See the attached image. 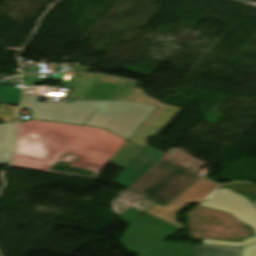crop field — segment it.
<instances>
[{
    "label": "crop field",
    "instance_id": "crop-field-22",
    "mask_svg": "<svg viewBox=\"0 0 256 256\" xmlns=\"http://www.w3.org/2000/svg\"><path fill=\"white\" fill-rule=\"evenodd\" d=\"M14 163L32 166V167H38V168H41L43 165H45L43 163H37V162H31V161H25V160H19V159H16Z\"/></svg>",
    "mask_w": 256,
    "mask_h": 256
},
{
    "label": "crop field",
    "instance_id": "crop-field-11",
    "mask_svg": "<svg viewBox=\"0 0 256 256\" xmlns=\"http://www.w3.org/2000/svg\"><path fill=\"white\" fill-rule=\"evenodd\" d=\"M15 123L0 124V164L10 163L13 157Z\"/></svg>",
    "mask_w": 256,
    "mask_h": 256
},
{
    "label": "crop field",
    "instance_id": "crop-field-25",
    "mask_svg": "<svg viewBox=\"0 0 256 256\" xmlns=\"http://www.w3.org/2000/svg\"><path fill=\"white\" fill-rule=\"evenodd\" d=\"M12 166H14V167H21V168H29V169L40 170V169H38V168H32V167H27V166H22V165H16V164H13Z\"/></svg>",
    "mask_w": 256,
    "mask_h": 256
},
{
    "label": "crop field",
    "instance_id": "crop-field-5",
    "mask_svg": "<svg viewBox=\"0 0 256 256\" xmlns=\"http://www.w3.org/2000/svg\"><path fill=\"white\" fill-rule=\"evenodd\" d=\"M18 144L110 161L120 147L20 127Z\"/></svg>",
    "mask_w": 256,
    "mask_h": 256
},
{
    "label": "crop field",
    "instance_id": "crop-field-24",
    "mask_svg": "<svg viewBox=\"0 0 256 256\" xmlns=\"http://www.w3.org/2000/svg\"><path fill=\"white\" fill-rule=\"evenodd\" d=\"M81 157V156H80ZM81 160L83 161H88V162H93V163H98V164H103L106 165L108 162L107 161H102V160H97V159H91V158H86V157H81Z\"/></svg>",
    "mask_w": 256,
    "mask_h": 256
},
{
    "label": "crop field",
    "instance_id": "crop-field-9",
    "mask_svg": "<svg viewBox=\"0 0 256 256\" xmlns=\"http://www.w3.org/2000/svg\"><path fill=\"white\" fill-rule=\"evenodd\" d=\"M164 106L167 108L163 109ZM180 110V108L160 104L129 141L144 147L147 145V139L155 136Z\"/></svg>",
    "mask_w": 256,
    "mask_h": 256
},
{
    "label": "crop field",
    "instance_id": "crop-field-4",
    "mask_svg": "<svg viewBox=\"0 0 256 256\" xmlns=\"http://www.w3.org/2000/svg\"><path fill=\"white\" fill-rule=\"evenodd\" d=\"M130 208L119 219L128 224L120 244L138 256H186L191 245L163 242L181 230Z\"/></svg>",
    "mask_w": 256,
    "mask_h": 256
},
{
    "label": "crop field",
    "instance_id": "crop-field-18",
    "mask_svg": "<svg viewBox=\"0 0 256 256\" xmlns=\"http://www.w3.org/2000/svg\"><path fill=\"white\" fill-rule=\"evenodd\" d=\"M48 151H49V153H48V155L46 156V158H45L44 160L35 159V158H30V157H25V156H19V155H17L16 157L48 163V162H50V161H53V160L58 159V158L61 157L63 154H65L64 152H59V151H54V150H49V149H48Z\"/></svg>",
    "mask_w": 256,
    "mask_h": 256
},
{
    "label": "crop field",
    "instance_id": "crop-field-1",
    "mask_svg": "<svg viewBox=\"0 0 256 256\" xmlns=\"http://www.w3.org/2000/svg\"><path fill=\"white\" fill-rule=\"evenodd\" d=\"M38 96L26 91L23 107L52 111L56 103H38ZM157 107L125 101H77L59 122L104 127L129 140Z\"/></svg>",
    "mask_w": 256,
    "mask_h": 256
},
{
    "label": "crop field",
    "instance_id": "crop-field-14",
    "mask_svg": "<svg viewBox=\"0 0 256 256\" xmlns=\"http://www.w3.org/2000/svg\"><path fill=\"white\" fill-rule=\"evenodd\" d=\"M119 200H115L112 203L111 209L118 215H122L127 211L133 204H135L142 196L127 190L123 195L119 197Z\"/></svg>",
    "mask_w": 256,
    "mask_h": 256
},
{
    "label": "crop field",
    "instance_id": "crop-field-3",
    "mask_svg": "<svg viewBox=\"0 0 256 256\" xmlns=\"http://www.w3.org/2000/svg\"><path fill=\"white\" fill-rule=\"evenodd\" d=\"M56 71V76L42 75L38 72H23L25 86L50 79L61 82L64 88L74 89L68 99L85 100H126L136 103L159 105L158 102L144 97L136 88L137 82L119 80L107 76L86 73L80 69L78 73Z\"/></svg>",
    "mask_w": 256,
    "mask_h": 256
},
{
    "label": "crop field",
    "instance_id": "crop-field-15",
    "mask_svg": "<svg viewBox=\"0 0 256 256\" xmlns=\"http://www.w3.org/2000/svg\"><path fill=\"white\" fill-rule=\"evenodd\" d=\"M22 100V90L14 87L0 86V103L19 105Z\"/></svg>",
    "mask_w": 256,
    "mask_h": 256
},
{
    "label": "crop field",
    "instance_id": "crop-field-21",
    "mask_svg": "<svg viewBox=\"0 0 256 256\" xmlns=\"http://www.w3.org/2000/svg\"><path fill=\"white\" fill-rule=\"evenodd\" d=\"M31 111H32V118L38 119V120H44L47 117V115L50 113L47 111H39V110H31Z\"/></svg>",
    "mask_w": 256,
    "mask_h": 256
},
{
    "label": "crop field",
    "instance_id": "crop-field-16",
    "mask_svg": "<svg viewBox=\"0 0 256 256\" xmlns=\"http://www.w3.org/2000/svg\"><path fill=\"white\" fill-rule=\"evenodd\" d=\"M226 187L248 197L256 203V186L245 183H234L226 185Z\"/></svg>",
    "mask_w": 256,
    "mask_h": 256
},
{
    "label": "crop field",
    "instance_id": "crop-field-7",
    "mask_svg": "<svg viewBox=\"0 0 256 256\" xmlns=\"http://www.w3.org/2000/svg\"><path fill=\"white\" fill-rule=\"evenodd\" d=\"M219 187L220 186L201 177L165 208L156 204L147 211V213L183 229L184 226L175 218L177 212L191 202L199 204Z\"/></svg>",
    "mask_w": 256,
    "mask_h": 256
},
{
    "label": "crop field",
    "instance_id": "crop-field-13",
    "mask_svg": "<svg viewBox=\"0 0 256 256\" xmlns=\"http://www.w3.org/2000/svg\"><path fill=\"white\" fill-rule=\"evenodd\" d=\"M141 150L142 148L127 142L110 162L125 168Z\"/></svg>",
    "mask_w": 256,
    "mask_h": 256
},
{
    "label": "crop field",
    "instance_id": "crop-field-8",
    "mask_svg": "<svg viewBox=\"0 0 256 256\" xmlns=\"http://www.w3.org/2000/svg\"><path fill=\"white\" fill-rule=\"evenodd\" d=\"M20 126H27L29 128L46 130L57 134L112 144L123 147L126 140L104 130L98 128L81 127L73 125L55 124L39 121H27L20 123Z\"/></svg>",
    "mask_w": 256,
    "mask_h": 256
},
{
    "label": "crop field",
    "instance_id": "crop-field-2",
    "mask_svg": "<svg viewBox=\"0 0 256 256\" xmlns=\"http://www.w3.org/2000/svg\"><path fill=\"white\" fill-rule=\"evenodd\" d=\"M201 166L177 149L169 151L129 189L165 207L200 177L192 172Z\"/></svg>",
    "mask_w": 256,
    "mask_h": 256
},
{
    "label": "crop field",
    "instance_id": "crop-field-10",
    "mask_svg": "<svg viewBox=\"0 0 256 256\" xmlns=\"http://www.w3.org/2000/svg\"><path fill=\"white\" fill-rule=\"evenodd\" d=\"M132 163L115 179L114 182L130 187L165 153L147 145Z\"/></svg>",
    "mask_w": 256,
    "mask_h": 256
},
{
    "label": "crop field",
    "instance_id": "crop-field-20",
    "mask_svg": "<svg viewBox=\"0 0 256 256\" xmlns=\"http://www.w3.org/2000/svg\"><path fill=\"white\" fill-rule=\"evenodd\" d=\"M241 256H256V244L242 248Z\"/></svg>",
    "mask_w": 256,
    "mask_h": 256
},
{
    "label": "crop field",
    "instance_id": "crop-field-19",
    "mask_svg": "<svg viewBox=\"0 0 256 256\" xmlns=\"http://www.w3.org/2000/svg\"><path fill=\"white\" fill-rule=\"evenodd\" d=\"M76 167L101 171L104 166L103 165H98V164H93V163H88V162L80 161Z\"/></svg>",
    "mask_w": 256,
    "mask_h": 256
},
{
    "label": "crop field",
    "instance_id": "crop-field-17",
    "mask_svg": "<svg viewBox=\"0 0 256 256\" xmlns=\"http://www.w3.org/2000/svg\"><path fill=\"white\" fill-rule=\"evenodd\" d=\"M47 150L43 148H36V147H28V146H21L18 145V153L19 155H25L35 158L44 159L47 155Z\"/></svg>",
    "mask_w": 256,
    "mask_h": 256
},
{
    "label": "crop field",
    "instance_id": "crop-field-23",
    "mask_svg": "<svg viewBox=\"0 0 256 256\" xmlns=\"http://www.w3.org/2000/svg\"><path fill=\"white\" fill-rule=\"evenodd\" d=\"M144 199L146 200L145 202L140 201L139 203H142V204H144V205H146V206L141 207V206L137 205V204H139V203H137V204H136L135 206H133L132 208L138 206V207L142 208L141 211L144 212V211H145L146 209H148L152 204H154V202H152L151 200L146 199V198H144Z\"/></svg>",
    "mask_w": 256,
    "mask_h": 256
},
{
    "label": "crop field",
    "instance_id": "crop-field-6",
    "mask_svg": "<svg viewBox=\"0 0 256 256\" xmlns=\"http://www.w3.org/2000/svg\"><path fill=\"white\" fill-rule=\"evenodd\" d=\"M200 206L227 212L254 228L256 233V206L246 197L227 188L216 191ZM256 243V237L242 242L203 239V245L244 247Z\"/></svg>",
    "mask_w": 256,
    "mask_h": 256
},
{
    "label": "crop field",
    "instance_id": "crop-field-12",
    "mask_svg": "<svg viewBox=\"0 0 256 256\" xmlns=\"http://www.w3.org/2000/svg\"><path fill=\"white\" fill-rule=\"evenodd\" d=\"M241 248L193 245L190 256H240Z\"/></svg>",
    "mask_w": 256,
    "mask_h": 256
}]
</instances>
